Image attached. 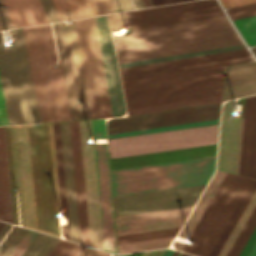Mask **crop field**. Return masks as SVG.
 <instances>
[{"label": "crop field", "instance_id": "1", "mask_svg": "<svg viewBox=\"0 0 256 256\" xmlns=\"http://www.w3.org/2000/svg\"><path fill=\"white\" fill-rule=\"evenodd\" d=\"M42 125L43 127H38ZM42 125H32L38 128H32L31 125L6 126L11 186H15V181L16 186H21L23 223L36 227L37 222V228L24 224L22 226L60 237L58 220L60 209L53 128L52 123ZM15 127H28L36 222L27 128L11 129L15 169L14 181L10 128ZM12 189L17 191L18 197V187H12ZM21 196L19 192L20 209ZM17 197L16 192H12L14 220L15 224L19 225L20 209L18 220Z\"/></svg>", "mask_w": 256, "mask_h": 256}, {"label": "crop field", "instance_id": "2", "mask_svg": "<svg viewBox=\"0 0 256 256\" xmlns=\"http://www.w3.org/2000/svg\"><path fill=\"white\" fill-rule=\"evenodd\" d=\"M232 27V26H231ZM225 16L132 31L113 38L118 63L240 45Z\"/></svg>", "mask_w": 256, "mask_h": 256}, {"label": "crop field", "instance_id": "3", "mask_svg": "<svg viewBox=\"0 0 256 256\" xmlns=\"http://www.w3.org/2000/svg\"><path fill=\"white\" fill-rule=\"evenodd\" d=\"M23 30L41 122L71 120L50 24Z\"/></svg>", "mask_w": 256, "mask_h": 256}, {"label": "crop field", "instance_id": "4", "mask_svg": "<svg viewBox=\"0 0 256 256\" xmlns=\"http://www.w3.org/2000/svg\"><path fill=\"white\" fill-rule=\"evenodd\" d=\"M216 156L111 171L113 197L207 183Z\"/></svg>", "mask_w": 256, "mask_h": 256}, {"label": "crop field", "instance_id": "5", "mask_svg": "<svg viewBox=\"0 0 256 256\" xmlns=\"http://www.w3.org/2000/svg\"><path fill=\"white\" fill-rule=\"evenodd\" d=\"M12 46L2 44L0 34V78L9 124L39 123L22 28L10 31Z\"/></svg>", "mask_w": 256, "mask_h": 256}, {"label": "crop field", "instance_id": "6", "mask_svg": "<svg viewBox=\"0 0 256 256\" xmlns=\"http://www.w3.org/2000/svg\"><path fill=\"white\" fill-rule=\"evenodd\" d=\"M219 124L111 139L110 158L217 143Z\"/></svg>", "mask_w": 256, "mask_h": 256}, {"label": "crop field", "instance_id": "7", "mask_svg": "<svg viewBox=\"0 0 256 256\" xmlns=\"http://www.w3.org/2000/svg\"><path fill=\"white\" fill-rule=\"evenodd\" d=\"M65 26L74 25V20L64 22ZM63 22L55 23L54 31L58 52L67 92V98L72 120L92 118L77 39L76 28L70 26L65 34L66 39L60 38L67 27Z\"/></svg>", "mask_w": 256, "mask_h": 256}, {"label": "crop field", "instance_id": "8", "mask_svg": "<svg viewBox=\"0 0 256 256\" xmlns=\"http://www.w3.org/2000/svg\"><path fill=\"white\" fill-rule=\"evenodd\" d=\"M223 15L215 0H201L109 15L112 31L132 30Z\"/></svg>", "mask_w": 256, "mask_h": 256}, {"label": "crop field", "instance_id": "9", "mask_svg": "<svg viewBox=\"0 0 256 256\" xmlns=\"http://www.w3.org/2000/svg\"><path fill=\"white\" fill-rule=\"evenodd\" d=\"M93 118L111 117L92 17L75 20Z\"/></svg>", "mask_w": 256, "mask_h": 256}, {"label": "crop field", "instance_id": "10", "mask_svg": "<svg viewBox=\"0 0 256 256\" xmlns=\"http://www.w3.org/2000/svg\"><path fill=\"white\" fill-rule=\"evenodd\" d=\"M247 49L119 69L122 82L227 66L252 60Z\"/></svg>", "mask_w": 256, "mask_h": 256}, {"label": "crop field", "instance_id": "11", "mask_svg": "<svg viewBox=\"0 0 256 256\" xmlns=\"http://www.w3.org/2000/svg\"><path fill=\"white\" fill-rule=\"evenodd\" d=\"M221 104L183 107L156 113L110 119L107 133H118L219 118Z\"/></svg>", "mask_w": 256, "mask_h": 256}, {"label": "crop field", "instance_id": "12", "mask_svg": "<svg viewBox=\"0 0 256 256\" xmlns=\"http://www.w3.org/2000/svg\"><path fill=\"white\" fill-rule=\"evenodd\" d=\"M204 186L113 198L115 216L194 205Z\"/></svg>", "mask_w": 256, "mask_h": 256}, {"label": "crop field", "instance_id": "13", "mask_svg": "<svg viewBox=\"0 0 256 256\" xmlns=\"http://www.w3.org/2000/svg\"><path fill=\"white\" fill-rule=\"evenodd\" d=\"M223 77L124 93L126 107H136L222 92Z\"/></svg>", "mask_w": 256, "mask_h": 256}, {"label": "crop field", "instance_id": "14", "mask_svg": "<svg viewBox=\"0 0 256 256\" xmlns=\"http://www.w3.org/2000/svg\"><path fill=\"white\" fill-rule=\"evenodd\" d=\"M91 246L103 250L91 120L79 121Z\"/></svg>", "mask_w": 256, "mask_h": 256}, {"label": "crop field", "instance_id": "15", "mask_svg": "<svg viewBox=\"0 0 256 256\" xmlns=\"http://www.w3.org/2000/svg\"><path fill=\"white\" fill-rule=\"evenodd\" d=\"M112 117L125 113L107 15L93 17Z\"/></svg>", "mask_w": 256, "mask_h": 256}, {"label": "crop field", "instance_id": "16", "mask_svg": "<svg viewBox=\"0 0 256 256\" xmlns=\"http://www.w3.org/2000/svg\"><path fill=\"white\" fill-rule=\"evenodd\" d=\"M233 100L222 107L217 169L238 174L243 118L232 117Z\"/></svg>", "mask_w": 256, "mask_h": 256}, {"label": "crop field", "instance_id": "17", "mask_svg": "<svg viewBox=\"0 0 256 256\" xmlns=\"http://www.w3.org/2000/svg\"><path fill=\"white\" fill-rule=\"evenodd\" d=\"M192 206L115 217L117 235L182 226Z\"/></svg>", "mask_w": 256, "mask_h": 256}, {"label": "crop field", "instance_id": "18", "mask_svg": "<svg viewBox=\"0 0 256 256\" xmlns=\"http://www.w3.org/2000/svg\"><path fill=\"white\" fill-rule=\"evenodd\" d=\"M104 250L116 253L106 144H94Z\"/></svg>", "mask_w": 256, "mask_h": 256}, {"label": "crop field", "instance_id": "19", "mask_svg": "<svg viewBox=\"0 0 256 256\" xmlns=\"http://www.w3.org/2000/svg\"><path fill=\"white\" fill-rule=\"evenodd\" d=\"M241 177L226 173L220 186L215 192L201 219L196 225L189 239L195 241L193 245H184L183 250L197 253L207 234L230 198Z\"/></svg>", "mask_w": 256, "mask_h": 256}, {"label": "crop field", "instance_id": "20", "mask_svg": "<svg viewBox=\"0 0 256 256\" xmlns=\"http://www.w3.org/2000/svg\"><path fill=\"white\" fill-rule=\"evenodd\" d=\"M14 28L48 22L39 0H3ZM0 0V30L13 28Z\"/></svg>", "mask_w": 256, "mask_h": 256}, {"label": "crop field", "instance_id": "21", "mask_svg": "<svg viewBox=\"0 0 256 256\" xmlns=\"http://www.w3.org/2000/svg\"><path fill=\"white\" fill-rule=\"evenodd\" d=\"M239 174L256 178V96L246 98Z\"/></svg>", "mask_w": 256, "mask_h": 256}, {"label": "crop field", "instance_id": "22", "mask_svg": "<svg viewBox=\"0 0 256 256\" xmlns=\"http://www.w3.org/2000/svg\"><path fill=\"white\" fill-rule=\"evenodd\" d=\"M217 144L110 159V167L121 168L216 154Z\"/></svg>", "mask_w": 256, "mask_h": 256}, {"label": "crop field", "instance_id": "23", "mask_svg": "<svg viewBox=\"0 0 256 256\" xmlns=\"http://www.w3.org/2000/svg\"><path fill=\"white\" fill-rule=\"evenodd\" d=\"M81 243L90 246L78 121L70 122Z\"/></svg>", "mask_w": 256, "mask_h": 256}, {"label": "crop field", "instance_id": "24", "mask_svg": "<svg viewBox=\"0 0 256 256\" xmlns=\"http://www.w3.org/2000/svg\"><path fill=\"white\" fill-rule=\"evenodd\" d=\"M71 240L80 243L69 122H60Z\"/></svg>", "mask_w": 256, "mask_h": 256}, {"label": "crop field", "instance_id": "25", "mask_svg": "<svg viewBox=\"0 0 256 256\" xmlns=\"http://www.w3.org/2000/svg\"><path fill=\"white\" fill-rule=\"evenodd\" d=\"M224 67L122 83L124 92L223 76Z\"/></svg>", "mask_w": 256, "mask_h": 256}, {"label": "crop field", "instance_id": "26", "mask_svg": "<svg viewBox=\"0 0 256 256\" xmlns=\"http://www.w3.org/2000/svg\"><path fill=\"white\" fill-rule=\"evenodd\" d=\"M251 182L252 179L242 177L237 188L235 189L224 210L216 221L214 227L212 228L201 249L199 250L197 256H208Z\"/></svg>", "mask_w": 256, "mask_h": 256}, {"label": "crop field", "instance_id": "27", "mask_svg": "<svg viewBox=\"0 0 256 256\" xmlns=\"http://www.w3.org/2000/svg\"><path fill=\"white\" fill-rule=\"evenodd\" d=\"M0 220L12 223L3 126H0Z\"/></svg>", "mask_w": 256, "mask_h": 256}, {"label": "crop field", "instance_id": "28", "mask_svg": "<svg viewBox=\"0 0 256 256\" xmlns=\"http://www.w3.org/2000/svg\"><path fill=\"white\" fill-rule=\"evenodd\" d=\"M224 175L225 173L216 171L215 175L213 176L212 180L208 184L201 198L197 202L190 216L188 217L182 229L178 233V236L188 238L189 234L191 233L193 227L195 226L196 222L198 221L199 217L204 211L206 205L208 204L209 200L211 199L212 195L214 194Z\"/></svg>", "mask_w": 256, "mask_h": 256}, {"label": "crop field", "instance_id": "29", "mask_svg": "<svg viewBox=\"0 0 256 256\" xmlns=\"http://www.w3.org/2000/svg\"><path fill=\"white\" fill-rule=\"evenodd\" d=\"M53 128L59 185L60 209L61 214H63L64 217H67V225L61 226V229L63 237L70 239L59 122L53 123Z\"/></svg>", "mask_w": 256, "mask_h": 256}, {"label": "crop field", "instance_id": "30", "mask_svg": "<svg viewBox=\"0 0 256 256\" xmlns=\"http://www.w3.org/2000/svg\"><path fill=\"white\" fill-rule=\"evenodd\" d=\"M256 81V62L226 67L224 88Z\"/></svg>", "mask_w": 256, "mask_h": 256}, {"label": "crop field", "instance_id": "31", "mask_svg": "<svg viewBox=\"0 0 256 256\" xmlns=\"http://www.w3.org/2000/svg\"><path fill=\"white\" fill-rule=\"evenodd\" d=\"M221 102V94L127 109L128 115L149 113L193 104Z\"/></svg>", "mask_w": 256, "mask_h": 256}, {"label": "crop field", "instance_id": "32", "mask_svg": "<svg viewBox=\"0 0 256 256\" xmlns=\"http://www.w3.org/2000/svg\"><path fill=\"white\" fill-rule=\"evenodd\" d=\"M52 1L60 20L68 19L65 9L70 19L96 15L90 0H69L70 2H64L63 0ZM68 3H72L73 7H68L65 9H57L56 7V5Z\"/></svg>", "mask_w": 256, "mask_h": 256}, {"label": "crop field", "instance_id": "33", "mask_svg": "<svg viewBox=\"0 0 256 256\" xmlns=\"http://www.w3.org/2000/svg\"><path fill=\"white\" fill-rule=\"evenodd\" d=\"M255 190H256V181L253 180L252 184L250 185L249 189L244 195L242 201L240 202L239 206L237 207L236 211L234 212L233 216L231 217L230 221L228 222L227 226L225 227L224 231L222 232L221 236L219 237L217 243L215 244L209 256H217L222 245L224 244L225 240L227 239L228 235L230 234L231 230L233 229L240 215L244 211L245 207L247 206Z\"/></svg>", "mask_w": 256, "mask_h": 256}, {"label": "crop field", "instance_id": "34", "mask_svg": "<svg viewBox=\"0 0 256 256\" xmlns=\"http://www.w3.org/2000/svg\"><path fill=\"white\" fill-rule=\"evenodd\" d=\"M16 226V225H15ZM11 229L9 234L6 236L4 241L2 242V246L0 248V256H10L11 253L14 251L22 237L27 232V229L15 227ZM11 227L10 224L4 223L2 228L0 229V241L8 231V229Z\"/></svg>", "mask_w": 256, "mask_h": 256}, {"label": "crop field", "instance_id": "35", "mask_svg": "<svg viewBox=\"0 0 256 256\" xmlns=\"http://www.w3.org/2000/svg\"><path fill=\"white\" fill-rule=\"evenodd\" d=\"M39 233H37L22 256H48L59 241V238Z\"/></svg>", "mask_w": 256, "mask_h": 256}, {"label": "crop field", "instance_id": "36", "mask_svg": "<svg viewBox=\"0 0 256 256\" xmlns=\"http://www.w3.org/2000/svg\"><path fill=\"white\" fill-rule=\"evenodd\" d=\"M174 236L118 245L119 253L168 247Z\"/></svg>", "mask_w": 256, "mask_h": 256}, {"label": "crop field", "instance_id": "37", "mask_svg": "<svg viewBox=\"0 0 256 256\" xmlns=\"http://www.w3.org/2000/svg\"><path fill=\"white\" fill-rule=\"evenodd\" d=\"M179 228L180 227L135 233V234L120 235V236H117V242L118 244H121V243L134 242V241H140V240H146V239L172 236V235H176Z\"/></svg>", "mask_w": 256, "mask_h": 256}, {"label": "crop field", "instance_id": "38", "mask_svg": "<svg viewBox=\"0 0 256 256\" xmlns=\"http://www.w3.org/2000/svg\"><path fill=\"white\" fill-rule=\"evenodd\" d=\"M255 204H256V192H255L254 196L252 197L251 201L249 202L248 206L246 207L245 211L241 215L240 219L238 220L237 224L235 225L234 229L232 230L231 234L229 235L228 239L226 240L225 244L223 245L218 256H226L227 255L229 249L231 248L236 237L238 236L240 230L242 229L244 223L246 222V220H247L248 216L250 215L252 209L254 208Z\"/></svg>", "mask_w": 256, "mask_h": 256}, {"label": "crop field", "instance_id": "39", "mask_svg": "<svg viewBox=\"0 0 256 256\" xmlns=\"http://www.w3.org/2000/svg\"><path fill=\"white\" fill-rule=\"evenodd\" d=\"M245 48L244 45L118 64L119 68Z\"/></svg>", "mask_w": 256, "mask_h": 256}, {"label": "crop field", "instance_id": "40", "mask_svg": "<svg viewBox=\"0 0 256 256\" xmlns=\"http://www.w3.org/2000/svg\"><path fill=\"white\" fill-rule=\"evenodd\" d=\"M216 123H219V119L195 122V123H188V124H181V125H174V126H167V127H160V128H153V129H146V130H139V131H132V132H125V133H118V134H111V135H108V139L132 136V135H139V134H146V133H153V132H160V131H167V130H174V129H181V128H188V127H195V126H202V125H209V124H216Z\"/></svg>", "mask_w": 256, "mask_h": 256}, {"label": "crop field", "instance_id": "41", "mask_svg": "<svg viewBox=\"0 0 256 256\" xmlns=\"http://www.w3.org/2000/svg\"><path fill=\"white\" fill-rule=\"evenodd\" d=\"M256 225V206L237 237L227 256H237ZM249 239V238H248ZM246 244V243H245Z\"/></svg>", "mask_w": 256, "mask_h": 256}, {"label": "crop field", "instance_id": "42", "mask_svg": "<svg viewBox=\"0 0 256 256\" xmlns=\"http://www.w3.org/2000/svg\"><path fill=\"white\" fill-rule=\"evenodd\" d=\"M233 23L249 46L256 45V16L234 20Z\"/></svg>", "mask_w": 256, "mask_h": 256}, {"label": "crop field", "instance_id": "43", "mask_svg": "<svg viewBox=\"0 0 256 256\" xmlns=\"http://www.w3.org/2000/svg\"><path fill=\"white\" fill-rule=\"evenodd\" d=\"M86 246L60 239L49 256H81Z\"/></svg>", "mask_w": 256, "mask_h": 256}, {"label": "crop field", "instance_id": "44", "mask_svg": "<svg viewBox=\"0 0 256 256\" xmlns=\"http://www.w3.org/2000/svg\"><path fill=\"white\" fill-rule=\"evenodd\" d=\"M256 93V82L224 89L223 100Z\"/></svg>", "mask_w": 256, "mask_h": 256}, {"label": "crop field", "instance_id": "45", "mask_svg": "<svg viewBox=\"0 0 256 256\" xmlns=\"http://www.w3.org/2000/svg\"><path fill=\"white\" fill-rule=\"evenodd\" d=\"M231 20L256 15V3L226 10Z\"/></svg>", "mask_w": 256, "mask_h": 256}, {"label": "crop field", "instance_id": "46", "mask_svg": "<svg viewBox=\"0 0 256 256\" xmlns=\"http://www.w3.org/2000/svg\"><path fill=\"white\" fill-rule=\"evenodd\" d=\"M115 11L134 9L130 0H111ZM135 8L145 7L142 0H132Z\"/></svg>", "mask_w": 256, "mask_h": 256}, {"label": "crop field", "instance_id": "47", "mask_svg": "<svg viewBox=\"0 0 256 256\" xmlns=\"http://www.w3.org/2000/svg\"><path fill=\"white\" fill-rule=\"evenodd\" d=\"M97 15L115 12L110 0H91Z\"/></svg>", "mask_w": 256, "mask_h": 256}, {"label": "crop field", "instance_id": "48", "mask_svg": "<svg viewBox=\"0 0 256 256\" xmlns=\"http://www.w3.org/2000/svg\"><path fill=\"white\" fill-rule=\"evenodd\" d=\"M35 235H36V232L28 230V232L23 237V239L21 240V242L19 243V245L17 246V248L15 249V251L12 253L11 256H21Z\"/></svg>", "mask_w": 256, "mask_h": 256}, {"label": "crop field", "instance_id": "49", "mask_svg": "<svg viewBox=\"0 0 256 256\" xmlns=\"http://www.w3.org/2000/svg\"><path fill=\"white\" fill-rule=\"evenodd\" d=\"M49 22L59 20L51 0H40Z\"/></svg>", "mask_w": 256, "mask_h": 256}, {"label": "crop field", "instance_id": "50", "mask_svg": "<svg viewBox=\"0 0 256 256\" xmlns=\"http://www.w3.org/2000/svg\"><path fill=\"white\" fill-rule=\"evenodd\" d=\"M92 125L94 138H106L104 119L92 120Z\"/></svg>", "mask_w": 256, "mask_h": 256}, {"label": "crop field", "instance_id": "51", "mask_svg": "<svg viewBox=\"0 0 256 256\" xmlns=\"http://www.w3.org/2000/svg\"><path fill=\"white\" fill-rule=\"evenodd\" d=\"M224 8H232L240 5L256 2V0H220Z\"/></svg>", "mask_w": 256, "mask_h": 256}, {"label": "crop field", "instance_id": "52", "mask_svg": "<svg viewBox=\"0 0 256 256\" xmlns=\"http://www.w3.org/2000/svg\"><path fill=\"white\" fill-rule=\"evenodd\" d=\"M4 124H8V122H7V116H6L2 89L0 84V125H4Z\"/></svg>", "mask_w": 256, "mask_h": 256}, {"label": "crop field", "instance_id": "53", "mask_svg": "<svg viewBox=\"0 0 256 256\" xmlns=\"http://www.w3.org/2000/svg\"><path fill=\"white\" fill-rule=\"evenodd\" d=\"M255 239H256V227L254 228L253 232L251 233L249 239L247 240L246 244L244 245L243 249L241 250L238 256H246L247 252L249 251Z\"/></svg>", "mask_w": 256, "mask_h": 256}, {"label": "crop field", "instance_id": "54", "mask_svg": "<svg viewBox=\"0 0 256 256\" xmlns=\"http://www.w3.org/2000/svg\"><path fill=\"white\" fill-rule=\"evenodd\" d=\"M82 256H109V253L87 247Z\"/></svg>", "mask_w": 256, "mask_h": 256}, {"label": "crop field", "instance_id": "55", "mask_svg": "<svg viewBox=\"0 0 256 256\" xmlns=\"http://www.w3.org/2000/svg\"><path fill=\"white\" fill-rule=\"evenodd\" d=\"M182 1H188V0H151L153 6L175 3V2H182Z\"/></svg>", "mask_w": 256, "mask_h": 256}, {"label": "crop field", "instance_id": "56", "mask_svg": "<svg viewBox=\"0 0 256 256\" xmlns=\"http://www.w3.org/2000/svg\"><path fill=\"white\" fill-rule=\"evenodd\" d=\"M247 256H256V240L251 247L250 251L248 252Z\"/></svg>", "mask_w": 256, "mask_h": 256}, {"label": "crop field", "instance_id": "57", "mask_svg": "<svg viewBox=\"0 0 256 256\" xmlns=\"http://www.w3.org/2000/svg\"><path fill=\"white\" fill-rule=\"evenodd\" d=\"M173 247L178 249V250H181L182 246H183V243H179V242H173Z\"/></svg>", "mask_w": 256, "mask_h": 256}, {"label": "crop field", "instance_id": "58", "mask_svg": "<svg viewBox=\"0 0 256 256\" xmlns=\"http://www.w3.org/2000/svg\"><path fill=\"white\" fill-rule=\"evenodd\" d=\"M173 253H174L173 250L167 249V251L165 252V254L163 256H172Z\"/></svg>", "mask_w": 256, "mask_h": 256}, {"label": "crop field", "instance_id": "59", "mask_svg": "<svg viewBox=\"0 0 256 256\" xmlns=\"http://www.w3.org/2000/svg\"><path fill=\"white\" fill-rule=\"evenodd\" d=\"M146 7L151 6L149 0H143Z\"/></svg>", "mask_w": 256, "mask_h": 256}, {"label": "crop field", "instance_id": "60", "mask_svg": "<svg viewBox=\"0 0 256 256\" xmlns=\"http://www.w3.org/2000/svg\"><path fill=\"white\" fill-rule=\"evenodd\" d=\"M181 256H191V255H187V254L182 253V255H181Z\"/></svg>", "mask_w": 256, "mask_h": 256}, {"label": "crop field", "instance_id": "61", "mask_svg": "<svg viewBox=\"0 0 256 256\" xmlns=\"http://www.w3.org/2000/svg\"><path fill=\"white\" fill-rule=\"evenodd\" d=\"M178 254V252L177 251H175V253L173 254V256H176Z\"/></svg>", "mask_w": 256, "mask_h": 256}, {"label": "crop field", "instance_id": "62", "mask_svg": "<svg viewBox=\"0 0 256 256\" xmlns=\"http://www.w3.org/2000/svg\"><path fill=\"white\" fill-rule=\"evenodd\" d=\"M252 49H253V51L256 53V47H253Z\"/></svg>", "mask_w": 256, "mask_h": 256}, {"label": "crop field", "instance_id": "63", "mask_svg": "<svg viewBox=\"0 0 256 256\" xmlns=\"http://www.w3.org/2000/svg\"><path fill=\"white\" fill-rule=\"evenodd\" d=\"M2 225H3V222H0V228H1Z\"/></svg>", "mask_w": 256, "mask_h": 256}, {"label": "crop field", "instance_id": "64", "mask_svg": "<svg viewBox=\"0 0 256 256\" xmlns=\"http://www.w3.org/2000/svg\"><path fill=\"white\" fill-rule=\"evenodd\" d=\"M181 255V252H179V254L177 256H180Z\"/></svg>", "mask_w": 256, "mask_h": 256}]
</instances>
